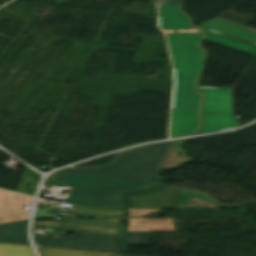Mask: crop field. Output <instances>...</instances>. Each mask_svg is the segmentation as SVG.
Wrapping results in <instances>:
<instances>
[{"label":"crop field","mask_w":256,"mask_h":256,"mask_svg":"<svg viewBox=\"0 0 256 256\" xmlns=\"http://www.w3.org/2000/svg\"><path fill=\"white\" fill-rule=\"evenodd\" d=\"M128 256H132V255H128Z\"/></svg>","instance_id":"crop-field-21"},{"label":"crop field","mask_w":256,"mask_h":256,"mask_svg":"<svg viewBox=\"0 0 256 256\" xmlns=\"http://www.w3.org/2000/svg\"><path fill=\"white\" fill-rule=\"evenodd\" d=\"M72 213L94 215V216L126 218L125 210L106 208V207L86 206V205H74V209Z\"/></svg>","instance_id":"crop-field-13"},{"label":"crop field","mask_w":256,"mask_h":256,"mask_svg":"<svg viewBox=\"0 0 256 256\" xmlns=\"http://www.w3.org/2000/svg\"><path fill=\"white\" fill-rule=\"evenodd\" d=\"M122 219L108 218V219H96L84 220L76 218L63 217L61 219V228L122 235L125 236L126 225L119 224Z\"/></svg>","instance_id":"crop-field-6"},{"label":"crop field","mask_w":256,"mask_h":256,"mask_svg":"<svg viewBox=\"0 0 256 256\" xmlns=\"http://www.w3.org/2000/svg\"><path fill=\"white\" fill-rule=\"evenodd\" d=\"M66 173L55 172L44 183L63 185ZM159 181L139 178L87 175L68 173L64 183L77 190L126 194L131 191L143 190L159 185Z\"/></svg>","instance_id":"crop-field-3"},{"label":"crop field","mask_w":256,"mask_h":256,"mask_svg":"<svg viewBox=\"0 0 256 256\" xmlns=\"http://www.w3.org/2000/svg\"><path fill=\"white\" fill-rule=\"evenodd\" d=\"M129 245H150V232H128Z\"/></svg>","instance_id":"crop-field-16"},{"label":"crop field","mask_w":256,"mask_h":256,"mask_svg":"<svg viewBox=\"0 0 256 256\" xmlns=\"http://www.w3.org/2000/svg\"><path fill=\"white\" fill-rule=\"evenodd\" d=\"M0 256H34L30 246L0 244Z\"/></svg>","instance_id":"crop-field-15"},{"label":"crop field","mask_w":256,"mask_h":256,"mask_svg":"<svg viewBox=\"0 0 256 256\" xmlns=\"http://www.w3.org/2000/svg\"><path fill=\"white\" fill-rule=\"evenodd\" d=\"M54 230L74 232V235L64 238L34 236L36 246L127 253L125 237L61 228H54Z\"/></svg>","instance_id":"crop-field-4"},{"label":"crop field","mask_w":256,"mask_h":256,"mask_svg":"<svg viewBox=\"0 0 256 256\" xmlns=\"http://www.w3.org/2000/svg\"><path fill=\"white\" fill-rule=\"evenodd\" d=\"M162 209H128L129 217H142L161 211Z\"/></svg>","instance_id":"crop-field-17"},{"label":"crop field","mask_w":256,"mask_h":256,"mask_svg":"<svg viewBox=\"0 0 256 256\" xmlns=\"http://www.w3.org/2000/svg\"><path fill=\"white\" fill-rule=\"evenodd\" d=\"M32 199L0 190V223L28 219L29 210H23V204H31Z\"/></svg>","instance_id":"crop-field-7"},{"label":"crop field","mask_w":256,"mask_h":256,"mask_svg":"<svg viewBox=\"0 0 256 256\" xmlns=\"http://www.w3.org/2000/svg\"><path fill=\"white\" fill-rule=\"evenodd\" d=\"M205 94L201 116L204 122L197 134L210 133L237 127L231 108V90L222 88H197Z\"/></svg>","instance_id":"crop-field-5"},{"label":"crop field","mask_w":256,"mask_h":256,"mask_svg":"<svg viewBox=\"0 0 256 256\" xmlns=\"http://www.w3.org/2000/svg\"><path fill=\"white\" fill-rule=\"evenodd\" d=\"M128 231H175L170 218L129 219Z\"/></svg>","instance_id":"crop-field-11"},{"label":"crop field","mask_w":256,"mask_h":256,"mask_svg":"<svg viewBox=\"0 0 256 256\" xmlns=\"http://www.w3.org/2000/svg\"><path fill=\"white\" fill-rule=\"evenodd\" d=\"M163 31H165L166 33H202L203 34V31L198 29L197 26L165 29Z\"/></svg>","instance_id":"crop-field-18"},{"label":"crop field","mask_w":256,"mask_h":256,"mask_svg":"<svg viewBox=\"0 0 256 256\" xmlns=\"http://www.w3.org/2000/svg\"><path fill=\"white\" fill-rule=\"evenodd\" d=\"M53 206V203H38L37 207Z\"/></svg>","instance_id":"crop-field-20"},{"label":"crop field","mask_w":256,"mask_h":256,"mask_svg":"<svg viewBox=\"0 0 256 256\" xmlns=\"http://www.w3.org/2000/svg\"><path fill=\"white\" fill-rule=\"evenodd\" d=\"M53 208L36 209L35 218L56 217L55 213L48 214Z\"/></svg>","instance_id":"crop-field-19"},{"label":"crop field","mask_w":256,"mask_h":256,"mask_svg":"<svg viewBox=\"0 0 256 256\" xmlns=\"http://www.w3.org/2000/svg\"><path fill=\"white\" fill-rule=\"evenodd\" d=\"M209 41L256 55V45L205 29Z\"/></svg>","instance_id":"crop-field-12"},{"label":"crop field","mask_w":256,"mask_h":256,"mask_svg":"<svg viewBox=\"0 0 256 256\" xmlns=\"http://www.w3.org/2000/svg\"><path fill=\"white\" fill-rule=\"evenodd\" d=\"M175 68V91L170 136L192 134L200 126L202 95L195 93L206 53L199 48L201 34H167Z\"/></svg>","instance_id":"crop-field-1"},{"label":"crop field","mask_w":256,"mask_h":256,"mask_svg":"<svg viewBox=\"0 0 256 256\" xmlns=\"http://www.w3.org/2000/svg\"><path fill=\"white\" fill-rule=\"evenodd\" d=\"M37 249L41 256H123L120 254L41 248V247H37Z\"/></svg>","instance_id":"crop-field-14"},{"label":"crop field","mask_w":256,"mask_h":256,"mask_svg":"<svg viewBox=\"0 0 256 256\" xmlns=\"http://www.w3.org/2000/svg\"><path fill=\"white\" fill-rule=\"evenodd\" d=\"M157 1L160 6L159 17L162 29L192 25L189 16L182 12L181 5L183 0Z\"/></svg>","instance_id":"crop-field-8"},{"label":"crop field","mask_w":256,"mask_h":256,"mask_svg":"<svg viewBox=\"0 0 256 256\" xmlns=\"http://www.w3.org/2000/svg\"><path fill=\"white\" fill-rule=\"evenodd\" d=\"M120 195L72 190L68 203L123 208Z\"/></svg>","instance_id":"crop-field-9"},{"label":"crop field","mask_w":256,"mask_h":256,"mask_svg":"<svg viewBox=\"0 0 256 256\" xmlns=\"http://www.w3.org/2000/svg\"><path fill=\"white\" fill-rule=\"evenodd\" d=\"M174 141L141 146L117 153L105 166L71 167L61 172L93 173L159 179L158 173L173 148Z\"/></svg>","instance_id":"crop-field-2"},{"label":"crop field","mask_w":256,"mask_h":256,"mask_svg":"<svg viewBox=\"0 0 256 256\" xmlns=\"http://www.w3.org/2000/svg\"><path fill=\"white\" fill-rule=\"evenodd\" d=\"M27 220L0 224V242L28 245Z\"/></svg>","instance_id":"crop-field-10"}]
</instances>
